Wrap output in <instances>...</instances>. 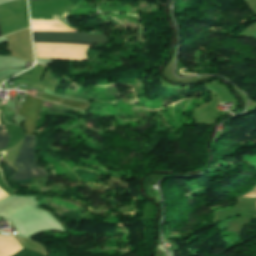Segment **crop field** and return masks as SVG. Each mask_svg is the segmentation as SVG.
Returning <instances> with one entry per match:
<instances>
[{"mask_svg": "<svg viewBox=\"0 0 256 256\" xmlns=\"http://www.w3.org/2000/svg\"><path fill=\"white\" fill-rule=\"evenodd\" d=\"M32 30L73 31L60 21H31ZM33 31L34 42L71 43L91 45L97 41H106L103 34L80 35L73 32Z\"/></svg>", "mask_w": 256, "mask_h": 256, "instance_id": "1", "label": "crop field"}, {"mask_svg": "<svg viewBox=\"0 0 256 256\" xmlns=\"http://www.w3.org/2000/svg\"><path fill=\"white\" fill-rule=\"evenodd\" d=\"M34 141H35V137L26 136L15 162V166L23 165V167L22 168L19 167L18 172L11 179L17 180V179L46 175L45 170L37 168L35 165ZM13 182L18 184L32 183V178L17 180Z\"/></svg>", "mask_w": 256, "mask_h": 256, "instance_id": "2", "label": "crop field"}, {"mask_svg": "<svg viewBox=\"0 0 256 256\" xmlns=\"http://www.w3.org/2000/svg\"><path fill=\"white\" fill-rule=\"evenodd\" d=\"M42 101L43 100L40 98L35 99L27 95L24 105L17 112L20 115L26 117L24 121V128L27 132V135L33 134Z\"/></svg>", "mask_w": 256, "mask_h": 256, "instance_id": "3", "label": "crop field"}, {"mask_svg": "<svg viewBox=\"0 0 256 256\" xmlns=\"http://www.w3.org/2000/svg\"><path fill=\"white\" fill-rule=\"evenodd\" d=\"M8 133L4 126H0V148L6 147L8 145Z\"/></svg>", "mask_w": 256, "mask_h": 256, "instance_id": "4", "label": "crop field"}, {"mask_svg": "<svg viewBox=\"0 0 256 256\" xmlns=\"http://www.w3.org/2000/svg\"><path fill=\"white\" fill-rule=\"evenodd\" d=\"M63 104L70 105V106L76 107L78 109H85V107L87 105L85 103L73 102V101H69V100H64Z\"/></svg>", "mask_w": 256, "mask_h": 256, "instance_id": "5", "label": "crop field"}, {"mask_svg": "<svg viewBox=\"0 0 256 256\" xmlns=\"http://www.w3.org/2000/svg\"><path fill=\"white\" fill-rule=\"evenodd\" d=\"M17 256H43L41 254H38L36 252H33V251H30V250H27V249H24L22 248L21 251L18 253Z\"/></svg>", "mask_w": 256, "mask_h": 256, "instance_id": "6", "label": "crop field"}, {"mask_svg": "<svg viewBox=\"0 0 256 256\" xmlns=\"http://www.w3.org/2000/svg\"><path fill=\"white\" fill-rule=\"evenodd\" d=\"M41 98H44L46 100H53V101H56V102H59V103L62 101L61 98H57L55 96L47 95V94H44V93H42Z\"/></svg>", "mask_w": 256, "mask_h": 256, "instance_id": "7", "label": "crop field"}, {"mask_svg": "<svg viewBox=\"0 0 256 256\" xmlns=\"http://www.w3.org/2000/svg\"><path fill=\"white\" fill-rule=\"evenodd\" d=\"M6 196H8V194H6L3 190L0 189V199Z\"/></svg>", "mask_w": 256, "mask_h": 256, "instance_id": "8", "label": "crop field"}, {"mask_svg": "<svg viewBox=\"0 0 256 256\" xmlns=\"http://www.w3.org/2000/svg\"><path fill=\"white\" fill-rule=\"evenodd\" d=\"M255 37H256V35H255Z\"/></svg>", "mask_w": 256, "mask_h": 256, "instance_id": "9", "label": "crop field"}, {"mask_svg": "<svg viewBox=\"0 0 256 256\" xmlns=\"http://www.w3.org/2000/svg\"><path fill=\"white\" fill-rule=\"evenodd\" d=\"M29 1H31V0H29Z\"/></svg>", "mask_w": 256, "mask_h": 256, "instance_id": "10", "label": "crop field"}]
</instances>
